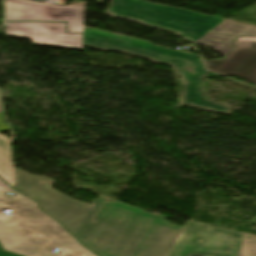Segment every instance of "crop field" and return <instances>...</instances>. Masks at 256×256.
<instances>
[{"label": "crop field", "instance_id": "crop-field-2", "mask_svg": "<svg viewBox=\"0 0 256 256\" xmlns=\"http://www.w3.org/2000/svg\"><path fill=\"white\" fill-rule=\"evenodd\" d=\"M14 197L0 193V210L8 209L13 216L0 213V244L6 251L23 256H97L81 245L57 221L40 211L35 202L9 188ZM60 247V254L51 253Z\"/></svg>", "mask_w": 256, "mask_h": 256}, {"label": "crop field", "instance_id": "crop-field-13", "mask_svg": "<svg viewBox=\"0 0 256 256\" xmlns=\"http://www.w3.org/2000/svg\"><path fill=\"white\" fill-rule=\"evenodd\" d=\"M235 42H256V37H239Z\"/></svg>", "mask_w": 256, "mask_h": 256}, {"label": "crop field", "instance_id": "crop-field-15", "mask_svg": "<svg viewBox=\"0 0 256 256\" xmlns=\"http://www.w3.org/2000/svg\"><path fill=\"white\" fill-rule=\"evenodd\" d=\"M1 112V110H0ZM8 185L6 183H4L1 179H0V190L7 187Z\"/></svg>", "mask_w": 256, "mask_h": 256}, {"label": "crop field", "instance_id": "crop-field-10", "mask_svg": "<svg viewBox=\"0 0 256 256\" xmlns=\"http://www.w3.org/2000/svg\"><path fill=\"white\" fill-rule=\"evenodd\" d=\"M211 32L224 35L256 36V27L225 20Z\"/></svg>", "mask_w": 256, "mask_h": 256}, {"label": "crop field", "instance_id": "crop-field-14", "mask_svg": "<svg viewBox=\"0 0 256 256\" xmlns=\"http://www.w3.org/2000/svg\"><path fill=\"white\" fill-rule=\"evenodd\" d=\"M0 256H15V255L6 253V252H4V251H2V250L0 249Z\"/></svg>", "mask_w": 256, "mask_h": 256}, {"label": "crop field", "instance_id": "crop-field-3", "mask_svg": "<svg viewBox=\"0 0 256 256\" xmlns=\"http://www.w3.org/2000/svg\"><path fill=\"white\" fill-rule=\"evenodd\" d=\"M82 44L102 51H118L145 58L152 62L172 66L185 82L183 106L202 108L212 112L228 114L231 109L202 98L204 80L207 77L201 60L195 54L174 51L152 45L149 41L104 32L84 26Z\"/></svg>", "mask_w": 256, "mask_h": 256}, {"label": "crop field", "instance_id": "crop-field-11", "mask_svg": "<svg viewBox=\"0 0 256 256\" xmlns=\"http://www.w3.org/2000/svg\"><path fill=\"white\" fill-rule=\"evenodd\" d=\"M0 177L11 185L9 141L0 136Z\"/></svg>", "mask_w": 256, "mask_h": 256}, {"label": "crop field", "instance_id": "crop-field-5", "mask_svg": "<svg viewBox=\"0 0 256 256\" xmlns=\"http://www.w3.org/2000/svg\"><path fill=\"white\" fill-rule=\"evenodd\" d=\"M244 233L187 221L167 256H238Z\"/></svg>", "mask_w": 256, "mask_h": 256}, {"label": "crop field", "instance_id": "crop-field-9", "mask_svg": "<svg viewBox=\"0 0 256 256\" xmlns=\"http://www.w3.org/2000/svg\"><path fill=\"white\" fill-rule=\"evenodd\" d=\"M236 38L237 37L220 36L208 33L196 43L212 47L214 51L220 53L222 56H225L229 51L234 48V46L230 45V43Z\"/></svg>", "mask_w": 256, "mask_h": 256}, {"label": "crop field", "instance_id": "crop-field-12", "mask_svg": "<svg viewBox=\"0 0 256 256\" xmlns=\"http://www.w3.org/2000/svg\"><path fill=\"white\" fill-rule=\"evenodd\" d=\"M239 256H256V236L245 234Z\"/></svg>", "mask_w": 256, "mask_h": 256}, {"label": "crop field", "instance_id": "crop-field-8", "mask_svg": "<svg viewBox=\"0 0 256 256\" xmlns=\"http://www.w3.org/2000/svg\"><path fill=\"white\" fill-rule=\"evenodd\" d=\"M209 70L223 75H235L256 83V43L249 48H234L223 59L207 61Z\"/></svg>", "mask_w": 256, "mask_h": 256}, {"label": "crop field", "instance_id": "crop-field-4", "mask_svg": "<svg viewBox=\"0 0 256 256\" xmlns=\"http://www.w3.org/2000/svg\"><path fill=\"white\" fill-rule=\"evenodd\" d=\"M108 14L171 31L194 43L224 19L143 0H114Z\"/></svg>", "mask_w": 256, "mask_h": 256}, {"label": "crop field", "instance_id": "crop-field-1", "mask_svg": "<svg viewBox=\"0 0 256 256\" xmlns=\"http://www.w3.org/2000/svg\"><path fill=\"white\" fill-rule=\"evenodd\" d=\"M18 191L38 201L99 256H166L182 227L166 217L108 202L101 195L88 206L53 189L54 180L14 169Z\"/></svg>", "mask_w": 256, "mask_h": 256}, {"label": "crop field", "instance_id": "crop-field-7", "mask_svg": "<svg viewBox=\"0 0 256 256\" xmlns=\"http://www.w3.org/2000/svg\"><path fill=\"white\" fill-rule=\"evenodd\" d=\"M6 35L32 39V44L82 49V34H66L65 23H5Z\"/></svg>", "mask_w": 256, "mask_h": 256}, {"label": "crop field", "instance_id": "crop-field-6", "mask_svg": "<svg viewBox=\"0 0 256 256\" xmlns=\"http://www.w3.org/2000/svg\"><path fill=\"white\" fill-rule=\"evenodd\" d=\"M5 2L7 20L66 21L68 33L82 32L85 2L69 7L22 0H5Z\"/></svg>", "mask_w": 256, "mask_h": 256}]
</instances>
